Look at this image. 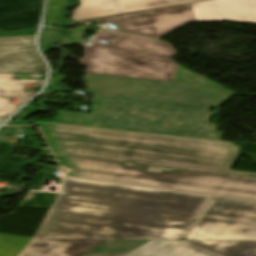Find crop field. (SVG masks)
I'll return each instance as SVG.
<instances>
[{"instance_id": "17", "label": "crop field", "mask_w": 256, "mask_h": 256, "mask_svg": "<svg viewBox=\"0 0 256 256\" xmlns=\"http://www.w3.org/2000/svg\"><path fill=\"white\" fill-rule=\"evenodd\" d=\"M36 29H37V27L24 29V30L13 31V32H7V33H2L0 31V37L1 36H17V35H35Z\"/></svg>"}, {"instance_id": "4", "label": "crop field", "mask_w": 256, "mask_h": 256, "mask_svg": "<svg viewBox=\"0 0 256 256\" xmlns=\"http://www.w3.org/2000/svg\"><path fill=\"white\" fill-rule=\"evenodd\" d=\"M107 21L121 30L160 38L189 21H233L256 24V0H209L73 22Z\"/></svg>"}, {"instance_id": "14", "label": "crop field", "mask_w": 256, "mask_h": 256, "mask_svg": "<svg viewBox=\"0 0 256 256\" xmlns=\"http://www.w3.org/2000/svg\"><path fill=\"white\" fill-rule=\"evenodd\" d=\"M58 31L59 30H56V29H48V28L42 29V32L39 38V45L42 51L51 49V47H49L47 44L55 41Z\"/></svg>"}, {"instance_id": "18", "label": "crop field", "mask_w": 256, "mask_h": 256, "mask_svg": "<svg viewBox=\"0 0 256 256\" xmlns=\"http://www.w3.org/2000/svg\"><path fill=\"white\" fill-rule=\"evenodd\" d=\"M54 23H60V20L58 17H45L43 25L54 24Z\"/></svg>"}, {"instance_id": "9", "label": "crop field", "mask_w": 256, "mask_h": 256, "mask_svg": "<svg viewBox=\"0 0 256 256\" xmlns=\"http://www.w3.org/2000/svg\"><path fill=\"white\" fill-rule=\"evenodd\" d=\"M43 0H0V30L2 32L35 27Z\"/></svg>"}, {"instance_id": "7", "label": "crop field", "mask_w": 256, "mask_h": 256, "mask_svg": "<svg viewBox=\"0 0 256 256\" xmlns=\"http://www.w3.org/2000/svg\"><path fill=\"white\" fill-rule=\"evenodd\" d=\"M196 1L202 0H80V6L73 10L71 18L78 21Z\"/></svg>"}, {"instance_id": "8", "label": "crop field", "mask_w": 256, "mask_h": 256, "mask_svg": "<svg viewBox=\"0 0 256 256\" xmlns=\"http://www.w3.org/2000/svg\"><path fill=\"white\" fill-rule=\"evenodd\" d=\"M0 71H46L34 49V37L0 39Z\"/></svg>"}, {"instance_id": "1", "label": "crop field", "mask_w": 256, "mask_h": 256, "mask_svg": "<svg viewBox=\"0 0 256 256\" xmlns=\"http://www.w3.org/2000/svg\"><path fill=\"white\" fill-rule=\"evenodd\" d=\"M33 125L43 130L68 176L256 201V174L229 170L237 155V147L230 142L40 122Z\"/></svg>"}, {"instance_id": "12", "label": "crop field", "mask_w": 256, "mask_h": 256, "mask_svg": "<svg viewBox=\"0 0 256 256\" xmlns=\"http://www.w3.org/2000/svg\"><path fill=\"white\" fill-rule=\"evenodd\" d=\"M216 256H252L256 242L180 240Z\"/></svg>"}, {"instance_id": "13", "label": "crop field", "mask_w": 256, "mask_h": 256, "mask_svg": "<svg viewBox=\"0 0 256 256\" xmlns=\"http://www.w3.org/2000/svg\"><path fill=\"white\" fill-rule=\"evenodd\" d=\"M31 240L30 238L0 234V256H17Z\"/></svg>"}, {"instance_id": "5", "label": "crop field", "mask_w": 256, "mask_h": 256, "mask_svg": "<svg viewBox=\"0 0 256 256\" xmlns=\"http://www.w3.org/2000/svg\"><path fill=\"white\" fill-rule=\"evenodd\" d=\"M185 239L256 241V202L212 197Z\"/></svg>"}, {"instance_id": "2", "label": "crop field", "mask_w": 256, "mask_h": 256, "mask_svg": "<svg viewBox=\"0 0 256 256\" xmlns=\"http://www.w3.org/2000/svg\"><path fill=\"white\" fill-rule=\"evenodd\" d=\"M210 199L65 177L35 238L184 239Z\"/></svg>"}, {"instance_id": "10", "label": "crop field", "mask_w": 256, "mask_h": 256, "mask_svg": "<svg viewBox=\"0 0 256 256\" xmlns=\"http://www.w3.org/2000/svg\"><path fill=\"white\" fill-rule=\"evenodd\" d=\"M15 74L0 73V96L31 97L34 94L26 92L28 84H42L44 80H14ZM27 98L17 99L12 103L10 98H0V117L8 118Z\"/></svg>"}, {"instance_id": "20", "label": "crop field", "mask_w": 256, "mask_h": 256, "mask_svg": "<svg viewBox=\"0 0 256 256\" xmlns=\"http://www.w3.org/2000/svg\"><path fill=\"white\" fill-rule=\"evenodd\" d=\"M256 256V255H255Z\"/></svg>"}, {"instance_id": "16", "label": "crop field", "mask_w": 256, "mask_h": 256, "mask_svg": "<svg viewBox=\"0 0 256 256\" xmlns=\"http://www.w3.org/2000/svg\"><path fill=\"white\" fill-rule=\"evenodd\" d=\"M67 3V0H48L45 16H60L59 6Z\"/></svg>"}, {"instance_id": "19", "label": "crop field", "mask_w": 256, "mask_h": 256, "mask_svg": "<svg viewBox=\"0 0 256 256\" xmlns=\"http://www.w3.org/2000/svg\"><path fill=\"white\" fill-rule=\"evenodd\" d=\"M4 120H5V119H3V118H0V123H1V122H3Z\"/></svg>"}, {"instance_id": "15", "label": "crop field", "mask_w": 256, "mask_h": 256, "mask_svg": "<svg viewBox=\"0 0 256 256\" xmlns=\"http://www.w3.org/2000/svg\"><path fill=\"white\" fill-rule=\"evenodd\" d=\"M86 28L87 27L75 28V30L70 35H65L62 38L61 44L58 46L61 47V46L70 45V44H74V45L79 44L82 40L81 37Z\"/></svg>"}, {"instance_id": "3", "label": "crop field", "mask_w": 256, "mask_h": 256, "mask_svg": "<svg viewBox=\"0 0 256 256\" xmlns=\"http://www.w3.org/2000/svg\"><path fill=\"white\" fill-rule=\"evenodd\" d=\"M95 38L111 42L106 45L93 39L80 61L86 72L172 81L179 64L171 61L177 55L160 41L124 32L101 30Z\"/></svg>"}, {"instance_id": "11", "label": "crop field", "mask_w": 256, "mask_h": 256, "mask_svg": "<svg viewBox=\"0 0 256 256\" xmlns=\"http://www.w3.org/2000/svg\"><path fill=\"white\" fill-rule=\"evenodd\" d=\"M126 256H213L178 240H151Z\"/></svg>"}, {"instance_id": "6", "label": "crop field", "mask_w": 256, "mask_h": 256, "mask_svg": "<svg viewBox=\"0 0 256 256\" xmlns=\"http://www.w3.org/2000/svg\"><path fill=\"white\" fill-rule=\"evenodd\" d=\"M146 241L33 239L18 256H121Z\"/></svg>"}]
</instances>
